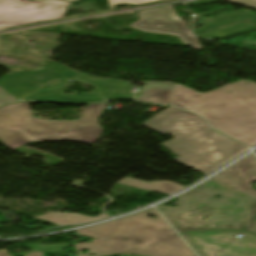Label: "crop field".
<instances>
[{"mask_svg":"<svg viewBox=\"0 0 256 256\" xmlns=\"http://www.w3.org/2000/svg\"><path fill=\"white\" fill-rule=\"evenodd\" d=\"M71 4L58 0H0V31L7 27L63 18L65 6Z\"/></svg>","mask_w":256,"mask_h":256,"instance_id":"d8731c3e","label":"crop field"},{"mask_svg":"<svg viewBox=\"0 0 256 256\" xmlns=\"http://www.w3.org/2000/svg\"><path fill=\"white\" fill-rule=\"evenodd\" d=\"M70 1H77V0H70Z\"/></svg>","mask_w":256,"mask_h":256,"instance_id":"92a150f3","label":"crop field"},{"mask_svg":"<svg viewBox=\"0 0 256 256\" xmlns=\"http://www.w3.org/2000/svg\"><path fill=\"white\" fill-rule=\"evenodd\" d=\"M178 110L179 109L170 106L166 110L162 111L161 113H159L158 115L154 116L153 118L149 119L148 121H146L145 123H143L141 125L149 128V127L153 126L154 124L158 123L159 121L163 120L164 118L170 116L171 114H173L174 112H176Z\"/></svg>","mask_w":256,"mask_h":256,"instance_id":"cbeb9de0","label":"crop field"},{"mask_svg":"<svg viewBox=\"0 0 256 256\" xmlns=\"http://www.w3.org/2000/svg\"><path fill=\"white\" fill-rule=\"evenodd\" d=\"M171 17H172L173 20H177V19L175 18V14L171 15Z\"/></svg>","mask_w":256,"mask_h":256,"instance_id":"214f88e0","label":"crop field"},{"mask_svg":"<svg viewBox=\"0 0 256 256\" xmlns=\"http://www.w3.org/2000/svg\"><path fill=\"white\" fill-rule=\"evenodd\" d=\"M214 179L256 199V191L251 187V183L256 181V160L252 154Z\"/></svg>","mask_w":256,"mask_h":256,"instance_id":"3316defc","label":"crop field"},{"mask_svg":"<svg viewBox=\"0 0 256 256\" xmlns=\"http://www.w3.org/2000/svg\"><path fill=\"white\" fill-rule=\"evenodd\" d=\"M177 203V208L160 205L157 209L179 233L212 229L256 233V200L213 179L179 196ZM203 216L208 218L202 220Z\"/></svg>","mask_w":256,"mask_h":256,"instance_id":"ac0d7876","label":"crop field"},{"mask_svg":"<svg viewBox=\"0 0 256 256\" xmlns=\"http://www.w3.org/2000/svg\"><path fill=\"white\" fill-rule=\"evenodd\" d=\"M17 99L14 98L11 94L5 91L3 88L0 87V104L16 101Z\"/></svg>","mask_w":256,"mask_h":256,"instance_id":"733c2abd","label":"crop field"},{"mask_svg":"<svg viewBox=\"0 0 256 256\" xmlns=\"http://www.w3.org/2000/svg\"><path fill=\"white\" fill-rule=\"evenodd\" d=\"M239 234L243 236L235 238ZM182 236L199 256H256V236L250 233L192 232Z\"/></svg>","mask_w":256,"mask_h":256,"instance_id":"e52e79f7","label":"crop field"},{"mask_svg":"<svg viewBox=\"0 0 256 256\" xmlns=\"http://www.w3.org/2000/svg\"><path fill=\"white\" fill-rule=\"evenodd\" d=\"M106 105H87L79 121L34 118L28 102L5 105L0 108V140L10 149L33 141L93 143L104 132L98 118Z\"/></svg>","mask_w":256,"mask_h":256,"instance_id":"f4fd0767","label":"crop field"},{"mask_svg":"<svg viewBox=\"0 0 256 256\" xmlns=\"http://www.w3.org/2000/svg\"><path fill=\"white\" fill-rule=\"evenodd\" d=\"M0 256H9L6 253V249L0 251ZM26 256H42V253H40V252H32L31 254L26 255Z\"/></svg>","mask_w":256,"mask_h":256,"instance_id":"bc2a9ffb","label":"crop field"},{"mask_svg":"<svg viewBox=\"0 0 256 256\" xmlns=\"http://www.w3.org/2000/svg\"><path fill=\"white\" fill-rule=\"evenodd\" d=\"M156 1H161V0H108L110 9H114L115 5H120V4L139 5V4H145L150 2H156Z\"/></svg>","mask_w":256,"mask_h":256,"instance_id":"5142ce71","label":"crop field"},{"mask_svg":"<svg viewBox=\"0 0 256 256\" xmlns=\"http://www.w3.org/2000/svg\"><path fill=\"white\" fill-rule=\"evenodd\" d=\"M70 80L96 88L92 94L63 95ZM0 86L18 100L87 103L113 98H129L130 83L95 78L51 62L42 72L6 74L0 78Z\"/></svg>","mask_w":256,"mask_h":256,"instance_id":"dd49c442","label":"crop field"},{"mask_svg":"<svg viewBox=\"0 0 256 256\" xmlns=\"http://www.w3.org/2000/svg\"><path fill=\"white\" fill-rule=\"evenodd\" d=\"M173 83L147 82L144 84L138 100L149 103H167L174 89Z\"/></svg>","mask_w":256,"mask_h":256,"instance_id":"28ad6ade","label":"crop field"},{"mask_svg":"<svg viewBox=\"0 0 256 256\" xmlns=\"http://www.w3.org/2000/svg\"><path fill=\"white\" fill-rule=\"evenodd\" d=\"M172 13L171 6L139 12L142 19L131 26L142 31L178 35L186 46L202 49L181 21L171 20L169 14Z\"/></svg>","mask_w":256,"mask_h":256,"instance_id":"5a996713","label":"crop field"},{"mask_svg":"<svg viewBox=\"0 0 256 256\" xmlns=\"http://www.w3.org/2000/svg\"><path fill=\"white\" fill-rule=\"evenodd\" d=\"M169 104L205 117L214 128L250 147L256 144V83L242 81L206 94L176 84Z\"/></svg>","mask_w":256,"mask_h":256,"instance_id":"34b2d1b8","label":"crop field"},{"mask_svg":"<svg viewBox=\"0 0 256 256\" xmlns=\"http://www.w3.org/2000/svg\"><path fill=\"white\" fill-rule=\"evenodd\" d=\"M105 214H101L98 217H87L81 214H71V213H48L44 216L36 217L49 221L55 225H64V224H77L85 223L89 221H94L102 218H107Z\"/></svg>","mask_w":256,"mask_h":256,"instance_id":"22f410ed","label":"crop field"},{"mask_svg":"<svg viewBox=\"0 0 256 256\" xmlns=\"http://www.w3.org/2000/svg\"><path fill=\"white\" fill-rule=\"evenodd\" d=\"M233 3L242 4V5H249L256 7V0H227Z\"/></svg>","mask_w":256,"mask_h":256,"instance_id":"4a817a6b","label":"crop field"},{"mask_svg":"<svg viewBox=\"0 0 256 256\" xmlns=\"http://www.w3.org/2000/svg\"><path fill=\"white\" fill-rule=\"evenodd\" d=\"M149 129L159 134L170 133L174 139L162 145H169L167 148L179 155L175 161L205 175L247 150L213 131L200 117L183 110Z\"/></svg>","mask_w":256,"mask_h":256,"instance_id":"412701ff","label":"crop field"},{"mask_svg":"<svg viewBox=\"0 0 256 256\" xmlns=\"http://www.w3.org/2000/svg\"><path fill=\"white\" fill-rule=\"evenodd\" d=\"M66 245H58V246H42L39 244H32V245H27L25 247L30 248L32 250H38V251H54L57 253H62L63 252V247Z\"/></svg>","mask_w":256,"mask_h":256,"instance_id":"d9b57169","label":"crop field"},{"mask_svg":"<svg viewBox=\"0 0 256 256\" xmlns=\"http://www.w3.org/2000/svg\"><path fill=\"white\" fill-rule=\"evenodd\" d=\"M118 184L131 186L139 189L155 191L166 195L172 194L184 187L178 186L170 181H159L146 183L139 180L126 177L124 180L118 182Z\"/></svg>","mask_w":256,"mask_h":256,"instance_id":"d1516ede","label":"crop field"},{"mask_svg":"<svg viewBox=\"0 0 256 256\" xmlns=\"http://www.w3.org/2000/svg\"><path fill=\"white\" fill-rule=\"evenodd\" d=\"M149 210L151 211L75 231L77 235L94 239L91 243L75 244L73 247L78 251L76 256H90L91 253L96 256L119 253L196 256L155 209ZM148 214L159 219L149 218ZM83 249H88L89 252L83 255Z\"/></svg>","mask_w":256,"mask_h":256,"instance_id":"8a807250","label":"crop field"}]
</instances>
